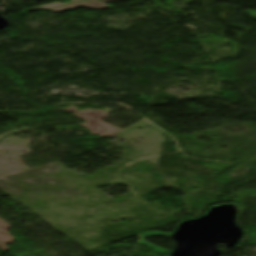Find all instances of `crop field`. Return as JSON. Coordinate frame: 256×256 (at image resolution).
<instances>
[{
    "instance_id": "1",
    "label": "crop field",
    "mask_w": 256,
    "mask_h": 256,
    "mask_svg": "<svg viewBox=\"0 0 256 256\" xmlns=\"http://www.w3.org/2000/svg\"><path fill=\"white\" fill-rule=\"evenodd\" d=\"M78 7L95 8L97 10L111 8L105 4L100 3L97 0H88V1L71 4V5H67V6H63V7H58V8H54V9H50V10L55 11V12H62V11H66V10H74Z\"/></svg>"
},
{
    "instance_id": "2",
    "label": "crop field",
    "mask_w": 256,
    "mask_h": 256,
    "mask_svg": "<svg viewBox=\"0 0 256 256\" xmlns=\"http://www.w3.org/2000/svg\"><path fill=\"white\" fill-rule=\"evenodd\" d=\"M71 3H73V2H71ZM67 4H70V3H67ZM61 5H66V4L53 3V4L41 6L39 8L28 9L27 12L32 11V10H36V9H48V8L57 7V6H61Z\"/></svg>"
},
{
    "instance_id": "3",
    "label": "crop field",
    "mask_w": 256,
    "mask_h": 256,
    "mask_svg": "<svg viewBox=\"0 0 256 256\" xmlns=\"http://www.w3.org/2000/svg\"><path fill=\"white\" fill-rule=\"evenodd\" d=\"M77 1H81V0H73V2H77ZM104 3H108V2H114V1H120V0H101Z\"/></svg>"
}]
</instances>
